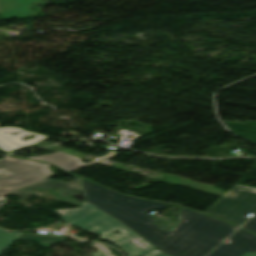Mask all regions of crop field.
Here are the masks:
<instances>
[{
	"label": "crop field",
	"instance_id": "16",
	"mask_svg": "<svg viewBox=\"0 0 256 256\" xmlns=\"http://www.w3.org/2000/svg\"><path fill=\"white\" fill-rule=\"evenodd\" d=\"M225 197H228V198H233L235 196H237L235 193H233L231 191V189L224 195Z\"/></svg>",
	"mask_w": 256,
	"mask_h": 256
},
{
	"label": "crop field",
	"instance_id": "18",
	"mask_svg": "<svg viewBox=\"0 0 256 256\" xmlns=\"http://www.w3.org/2000/svg\"><path fill=\"white\" fill-rule=\"evenodd\" d=\"M156 256H166V255L160 254V255H156Z\"/></svg>",
	"mask_w": 256,
	"mask_h": 256
},
{
	"label": "crop field",
	"instance_id": "13",
	"mask_svg": "<svg viewBox=\"0 0 256 256\" xmlns=\"http://www.w3.org/2000/svg\"><path fill=\"white\" fill-rule=\"evenodd\" d=\"M90 245L97 248V250L90 256H109V248L96 242H92Z\"/></svg>",
	"mask_w": 256,
	"mask_h": 256
},
{
	"label": "crop field",
	"instance_id": "2",
	"mask_svg": "<svg viewBox=\"0 0 256 256\" xmlns=\"http://www.w3.org/2000/svg\"><path fill=\"white\" fill-rule=\"evenodd\" d=\"M56 212L63 217V220L78 226L84 231L94 233L118 244L125 250L127 256H153L161 253L127 227L87 202L83 203V208L56 210ZM116 229L123 233L116 234L113 232Z\"/></svg>",
	"mask_w": 256,
	"mask_h": 256
},
{
	"label": "crop field",
	"instance_id": "8",
	"mask_svg": "<svg viewBox=\"0 0 256 256\" xmlns=\"http://www.w3.org/2000/svg\"><path fill=\"white\" fill-rule=\"evenodd\" d=\"M43 0H0V11L3 19H24L35 13L30 5Z\"/></svg>",
	"mask_w": 256,
	"mask_h": 256
},
{
	"label": "crop field",
	"instance_id": "17",
	"mask_svg": "<svg viewBox=\"0 0 256 256\" xmlns=\"http://www.w3.org/2000/svg\"><path fill=\"white\" fill-rule=\"evenodd\" d=\"M110 255L111 256H115V254L110 250Z\"/></svg>",
	"mask_w": 256,
	"mask_h": 256
},
{
	"label": "crop field",
	"instance_id": "5",
	"mask_svg": "<svg viewBox=\"0 0 256 256\" xmlns=\"http://www.w3.org/2000/svg\"><path fill=\"white\" fill-rule=\"evenodd\" d=\"M228 240L229 244L223 243L208 256H252L256 253V236L239 229Z\"/></svg>",
	"mask_w": 256,
	"mask_h": 256
},
{
	"label": "crop field",
	"instance_id": "6",
	"mask_svg": "<svg viewBox=\"0 0 256 256\" xmlns=\"http://www.w3.org/2000/svg\"><path fill=\"white\" fill-rule=\"evenodd\" d=\"M65 175L74 178V180L70 181V182H64V181L47 179L38 184L26 187L24 189H21V190H18V191L9 193V194L21 196L18 203L25 205L27 207H30L32 205L27 203L26 201L32 195L31 191L36 188H43V189L59 188L64 191L61 196H68V195H73V194L83 192L81 180L79 177L71 175L69 173H67ZM9 194H7V195H9ZM7 195H4V196H7Z\"/></svg>",
	"mask_w": 256,
	"mask_h": 256
},
{
	"label": "crop field",
	"instance_id": "11",
	"mask_svg": "<svg viewBox=\"0 0 256 256\" xmlns=\"http://www.w3.org/2000/svg\"><path fill=\"white\" fill-rule=\"evenodd\" d=\"M17 239H28L32 241H37L41 245L46 247H51L55 243H61L65 240L64 237L53 236V235H37L31 233H22Z\"/></svg>",
	"mask_w": 256,
	"mask_h": 256
},
{
	"label": "crop field",
	"instance_id": "12",
	"mask_svg": "<svg viewBox=\"0 0 256 256\" xmlns=\"http://www.w3.org/2000/svg\"><path fill=\"white\" fill-rule=\"evenodd\" d=\"M7 202L8 200L1 196L0 208ZM20 234L21 232L7 233L5 230L0 229V256Z\"/></svg>",
	"mask_w": 256,
	"mask_h": 256
},
{
	"label": "crop field",
	"instance_id": "3",
	"mask_svg": "<svg viewBox=\"0 0 256 256\" xmlns=\"http://www.w3.org/2000/svg\"><path fill=\"white\" fill-rule=\"evenodd\" d=\"M48 164L15 158L0 159V196L47 179Z\"/></svg>",
	"mask_w": 256,
	"mask_h": 256
},
{
	"label": "crop field",
	"instance_id": "4",
	"mask_svg": "<svg viewBox=\"0 0 256 256\" xmlns=\"http://www.w3.org/2000/svg\"><path fill=\"white\" fill-rule=\"evenodd\" d=\"M238 194L233 199L222 197L206 214L229 221L240 226L249 212H256V189L236 185L231 188Z\"/></svg>",
	"mask_w": 256,
	"mask_h": 256
},
{
	"label": "crop field",
	"instance_id": "1",
	"mask_svg": "<svg viewBox=\"0 0 256 256\" xmlns=\"http://www.w3.org/2000/svg\"><path fill=\"white\" fill-rule=\"evenodd\" d=\"M88 203L170 256H205L238 227L204 215L182 236L160 229L148 213L167 204L122 196L83 179Z\"/></svg>",
	"mask_w": 256,
	"mask_h": 256
},
{
	"label": "crop field",
	"instance_id": "9",
	"mask_svg": "<svg viewBox=\"0 0 256 256\" xmlns=\"http://www.w3.org/2000/svg\"><path fill=\"white\" fill-rule=\"evenodd\" d=\"M30 159L48 162L67 171H71V170L92 164V163H83L81 162V159L73 157L62 151L58 153L50 154V155H45V156L30 157Z\"/></svg>",
	"mask_w": 256,
	"mask_h": 256
},
{
	"label": "crop field",
	"instance_id": "7",
	"mask_svg": "<svg viewBox=\"0 0 256 256\" xmlns=\"http://www.w3.org/2000/svg\"><path fill=\"white\" fill-rule=\"evenodd\" d=\"M18 131H23L22 133L12 136L9 133H17ZM3 132H8L7 134H3ZM36 135L35 138L30 139L26 142L22 141L20 138L22 136H30V135ZM49 137L29 132L23 129H19L16 127H3L0 128V147L7 153L9 151H15L17 149H20L22 147L34 145L44 139H48Z\"/></svg>",
	"mask_w": 256,
	"mask_h": 256
},
{
	"label": "crop field",
	"instance_id": "15",
	"mask_svg": "<svg viewBox=\"0 0 256 256\" xmlns=\"http://www.w3.org/2000/svg\"><path fill=\"white\" fill-rule=\"evenodd\" d=\"M62 225H54V224H49L47 225V228L57 230L61 227Z\"/></svg>",
	"mask_w": 256,
	"mask_h": 256
},
{
	"label": "crop field",
	"instance_id": "10",
	"mask_svg": "<svg viewBox=\"0 0 256 256\" xmlns=\"http://www.w3.org/2000/svg\"><path fill=\"white\" fill-rule=\"evenodd\" d=\"M203 214L180 208L178 219L179 223L176 225L175 229L171 232L182 235L190 226H192Z\"/></svg>",
	"mask_w": 256,
	"mask_h": 256
},
{
	"label": "crop field",
	"instance_id": "14",
	"mask_svg": "<svg viewBox=\"0 0 256 256\" xmlns=\"http://www.w3.org/2000/svg\"><path fill=\"white\" fill-rule=\"evenodd\" d=\"M242 228L256 234V216L251 218L246 224L242 226Z\"/></svg>",
	"mask_w": 256,
	"mask_h": 256
},
{
	"label": "crop field",
	"instance_id": "19",
	"mask_svg": "<svg viewBox=\"0 0 256 256\" xmlns=\"http://www.w3.org/2000/svg\"><path fill=\"white\" fill-rule=\"evenodd\" d=\"M254 256H256V254Z\"/></svg>",
	"mask_w": 256,
	"mask_h": 256
}]
</instances>
